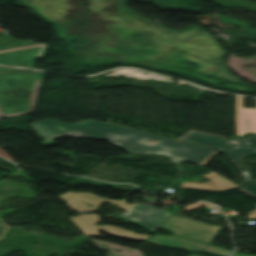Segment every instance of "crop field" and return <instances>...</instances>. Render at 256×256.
Returning <instances> with one entry per match:
<instances>
[{"instance_id":"obj_14","label":"crop field","mask_w":256,"mask_h":256,"mask_svg":"<svg viewBox=\"0 0 256 256\" xmlns=\"http://www.w3.org/2000/svg\"><path fill=\"white\" fill-rule=\"evenodd\" d=\"M218 152L214 151L210 156H208L205 160H203L199 165L203 166L205 163H207L210 159H212Z\"/></svg>"},{"instance_id":"obj_6","label":"crop field","mask_w":256,"mask_h":256,"mask_svg":"<svg viewBox=\"0 0 256 256\" xmlns=\"http://www.w3.org/2000/svg\"><path fill=\"white\" fill-rule=\"evenodd\" d=\"M61 199L66 200V205L70 206L72 210L76 212H87V211H94L96 210L99 205L103 201L111 202L118 207L127 210L130 209L133 205L131 204H125L126 201H113L109 199H105L90 193H71L68 192L62 196H60ZM84 202L94 206L89 207Z\"/></svg>"},{"instance_id":"obj_11","label":"crop field","mask_w":256,"mask_h":256,"mask_svg":"<svg viewBox=\"0 0 256 256\" xmlns=\"http://www.w3.org/2000/svg\"><path fill=\"white\" fill-rule=\"evenodd\" d=\"M210 179V182H205L201 184L192 183V182H182V186L180 187H189L196 190H205V191H227L237 187V184L234 182L224 178L223 176L215 173L210 172V174L203 175ZM203 177V178H204ZM196 182V181H195Z\"/></svg>"},{"instance_id":"obj_4","label":"crop field","mask_w":256,"mask_h":256,"mask_svg":"<svg viewBox=\"0 0 256 256\" xmlns=\"http://www.w3.org/2000/svg\"><path fill=\"white\" fill-rule=\"evenodd\" d=\"M234 145L230 148H222L243 172L242 190L256 196V186L249 180V173L243 165L240 157L256 152V135L248 134L242 139L232 138Z\"/></svg>"},{"instance_id":"obj_8","label":"crop field","mask_w":256,"mask_h":256,"mask_svg":"<svg viewBox=\"0 0 256 256\" xmlns=\"http://www.w3.org/2000/svg\"><path fill=\"white\" fill-rule=\"evenodd\" d=\"M127 214L130 216H126ZM127 214H121L119 216L138 222L153 231L170 215L168 212L144 204L135 205Z\"/></svg>"},{"instance_id":"obj_3","label":"crop field","mask_w":256,"mask_h":256,"mask_svg":"<svg viewBox=\"0 0 256 256\" xmlns=\"http://www.w3.org/2000/svg\"><path fill=\"white\" fill-rule=\"evenodd\" d=\"M177 226H180V229H177ZM161 228L173 231L174 235L205 243H209L222 230L220 226H210L176 216H171Z\"/></svg>"},{"instance_id":"obj_15","label":"crop field","mask_w":256,"mask_h":256,"mask_svg":"<svg viewBox=\"0 0 256 256\" xmlns=\"http://www.w3.org/2000/svg\"><path fill=\"white\" fill-rule=\"evenodd\" d=\"M247 218H256V210H253L249 213V216Z\"/></svg>"},{"instance_id":"obj_17","label":"crop field","mask_w":256,"mask_h":256,"mask_svg":"<svg viewBox=\"0 0 256 256\" xmlns=\"http://www.w3.org/2000/svg\"><path fill=\"white\" fill-rule=\"evenodd\" d=\"M155 140H152V139H150V140H148L145 144H151L152 142H154Z\"/></svg>"},{"instance_id":"obj_12","label":"crop field","mask_w":256,"mask_h":256,"mask_svg":"<svg viewBox=\"0 0 256 256\" xmlns=\"http://www.w3.org/2000/svg\"><path fill=\"white\" fill-rule=\"evenodd\" d=\"M225 137L211 135L203 132H198L190 130L186 135H184L181 140L209 146L215 148L216 146L228 145L229 142H226Z\"/></svg>"},{"instance_id":"obj_13","label":"crop field","mask_w":256,"mask_h":256,"mask_svg":"<svg viewBox=\"0 0 256 256\" xmlns=\"http://www.w3.org/2000/svg\"><path fill=\"white\" fill-rule=\"evenodd\" d=\"M24 44H30V42L12 39L10 36L6 35L5 33H3L0 36V48L18 46V45H24Z\"/></svg>"},{"instance_id":"obj_2","label":"crop field","mask_w":256,"mask_h":256,"mask_svg":"<svg viewBox=\"0 0 256 256\" xmlns=\"http://www.w3.org/2000/svg\"><path fill=\"white\" fill-rule=\"evenodd\" d=\"M42 76L36 71L0 67V116L33 112Z\"/></svg>"},{"instance_id":"obj_18","label":"crop field","mask_w":256,"mask_h":256,"mask_svg":"<svg viewBox=\"0 0 256 256\" xmlns=\"http://www.w3.org/2000/svg\"><path fill=\"white\" fill-rule=\"evenodd\" d=\"M188 256H196V255H194V254H191V255H188Z\"/></svg>"},{"instance_id":"obj_7","label":"crop field","mask_w":256,"mask_h":256,"mask_svg":"<svg viewBox=\"0 0 256 256\" xmlns=\"http://www.w3.org/2000/svg\"><path fill=\"white\" fill-rule=\"evenodd\" d=\"M148 243H154L159 246L176 247L180 246L188 251L205 250L220 256H227L230 250L214 247L208 244L196 242L193 240L177 237V236H163L157 234L146 240Z\"/></svg>"},{"instance_id":"obj_1","label":"crop field","mask_w":256,"mask_h":256,"mask_svg":"<svg viewBox=\"0 0 256 256\" xmlns=\"http://www.w3.org/2000/svg\"><path fill=\"white\" fill-rule=\"evenodd\" d=\"M38 137L52 141L57 138L71 136L75 138L93 137L114 142V145L133 153H159L172 156L175 163L184 160L196 164L210 155L213 150L193 146L183 142L147 134L139 131L116 126L110 123L87 120L80 123L68 124L49 118L29 125ZM157 140L147 146L143 144L148 139Z\"/></svg>"},{"instance_id":"obj_5","label":"crop field","mask_w":256,"mask_h":256,"mask_svg":"<svg viewBox=\"0 0 256 256\" xmlns=\"http://www.w3.org/2000/svg\"><path fill=\"white\" fill-rule=\"evenodd\" d=\"M46 44H34L0 51V64L31 68ZM10 57V59H7Z\"/></svg>"},{"instance_id":"obj_9","label":"crop field","mask_w":256,"mask_h":256,"mask_svg":"<svg viewBox=\"0 0 256 256\" xmlns=\"http://www.w3.org/2000/svg\"><path fill=\"white\" fill-rule=\"evenodd\" d=\"M71 221H75L74 223L79 226V228L87 235L93 236L98 235L97 230L101 229L113 235L131 238L135 240H145L148 236L134 234L130 231H126L122 228L112 227V226H95L94 222L98 221L97 215H87V216H76L69 218Z\"/></svg>"},{"instance_id":"obj_10","label":"crop field","mask_w":256,"mask_h":256,"mask_svg":"<svg viewBox=\"0 0 256 256\" xmlns=\"http://www.w3.org/2000/svg\"><path fill=\"white\" fill-rule=\"evenodd\" d=\"M256 133V109L242 108V97L236 96V134Z\"/></svg>"},{"instance_id":"obj_16","label":"crop field","mask_w":256,"mask_h":256,"mask_svg":"<svg viewBox=\"0 0 256 256\" xmlns=\"http://www.w3.org/2000/svg\"><path fill=\"white\" fill-rule=\"evenodd\" d=\"M232 256H248V255H243V254H238V253H233Z\"/></svg>"}]
</instances>
